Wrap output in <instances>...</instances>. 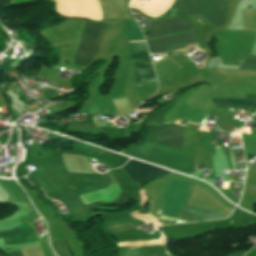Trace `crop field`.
<instances>
[{"mask_svg": "<svg viewBox=\"0 0 256 256\" xmlns=\"http://www.w3.org/2000/svg\"><path fill=\"white\" fill-rule=\"evenodd\" d=\"M182 129V126H166L161 128L157 135V143L179 149ZM198 134V130L184 127L180 149L196 146Z\"/></svg>", "mask_w": 256, "mask_h": 256, "instance_id": "obj_7", "label": "crop field"}, {"mask_svg": "<svg viewBox=\"0 0 256 256\" xmlns=\"http://www.w3.org/2000/svg\"><path fill=\"white\" fill-rule=\"evenodd\" d=\"M191 184L190 182L179 180H169L166 183L161 191L163 201L161 215L178 218L184 206V202L190 193ZM163 216L160 218L168 221L176 220Z\"/></svg>", "mask_w": 256, "mask_h": 256, "instance_id": "obj_4", "label": "crop field"}, {"mask_svg": "<svg viewBox=\"0 0 256 256\" xmlns=\"http://www.w3.org/2000/svg\"><path fill=\"white\" fill-rule=\"evenodd\" d=\"M183 215L202 220L223 219L228 216L187 206Z\"/></svg>", "mask_w": 256, "mask_h": 256, "instance_id": "obj_11", "label": "crop field"}, {"mask_svg": "<svg viewBox=\"0 0 256 256\" xmlns=\"http://www.w3.org/2000/svg\"><path fill=\"white\" fill-rule=\"evenodd\" d=\"M217 108H242V109H248V110H254L256 111V107L253 106H239V105H223V104H215Z\"/></svg>", "mask_w": 256, "mask_h": 256, "instance_id": "obj_15", "label": "crop field"}, {"mask_svg": "<svg viewBox=\"0 0 256 256\" xmlns=\"http://www.w3.org/2000/svg\"><path fill=\"white\" fill-rule=\"evenodd\" d=\"M256 117V115H254Z\"/></svg>", "mask_w": 256, "mask_h": 256, "instance_id": "obj_20", "label": "crop field"}, {"mask_svg": "<svg viewBox=\"0 0 256 256\" xmlns=\"http://www.w3.org/2000/svg\"><path fill=\"white\" fill-rule=\"evenodd\" d=\"M105 24L85 22L84 33L75 56L74 64L88 66L99 51Z\"/></svg>", "mask_w": 256, "mask_h": 256, "instance_id": "obj_5", "label": "crop field"}, {"mask_svg": "<svg viewBox=\"0 0 256 256\" xmlns=\"http://www.w3.org/2000/svg\"><path fill=\"white\" fill-rule=\"evenodd\" d=\"M129 40L144 39L136 21H126ZM144 41V40H137ZM129 41V42H137ZM131 52L148 51L145 42L130 43ZM135 69L152 68L148 52L131 53ZM137 84L156 83L153 70H135Z\"/></svg>", "mask_w": 256, "mask_h": 256, "instance_id": "obj_3", "label": "crop field"}, {"mask_svg": "<svg viewBox=\"0 0 256 256\" xmlns=\"http://www.w3.org/2000/svg\"><path fill=\"white\" fill-rule=\"evenodd\" d=\"M192 27L187 17L174 18L152 23L150 25L149 38L191 30ZM150 53L167 52L185 48V45L196 43L195 31L178 35L149 40Z\"/></svg>", "mask_w": 256, "mask_h": 256, "instance_id": "obj_1", "label": "crop field"}, {"mask_svg": "<svg viewBox=\"0 0 256 256\" xmlns=\"http://www.w3.org/2000/svg\"><path fill=\"white\" fill-rule=\"evenodd\" d=\"M133 228L132 224L128 225H121V226H113V227H107V229L110 232H116V231H122V230H127Z\"/></svg>", "mask_w": 256, "mask_h": 256, "instance_id": "obj_16", "label": "crop field"}, {"mask_svg": "<svg viewBox=\"0 0 256 256\" xmlns=\"http://www.w3.org/2000/svg\"><path fill=\"white\" fill-rule=\"evenodd\" d=\"M187 122H188V121H187ZM188 123H191V122H188ZM188 123H187V125H188V126H192V127H196V128H198V127H197V126H198V124L191 123V124L197 125V126H194V125H191V124H188Z\"/></svg>", "mask_w": 256, "mask_h": 256, "instance_id": "obj_19", "label": "crop field"}, {"mask_svg": "<svg viewBox=\"0 0 256 256\" xmlns=\"http://www.w3.org/2000/svg\"><path fill=\"white\" fill-rule=\"evenodd\" d=\"M246 99H249V100H255L256 101V96L254 95H247Z\"/></svg>", "mask_w": 256, "mask_h": 256, "instance_id": "obj_17", "label": "crop field"}, {"mask_svg": "<svg viewBox=\"0 0 256 256\" xmlns=\"http://www.w3.org/2000/svg\"><path fill=\"white\" fill-rule=\"evenodd\" d=\"M0 256H2V255L0 254Z\"/></svg>", "mask_w": 256, "mask_h": 256, "instance_id": "obj_21", "label": "crop field"}, {"mask_svg": "<svg viewBox=\"0 0 256 256\" xmlns=\"http://www.w3.org/2000/svg\"><path fill=\"white\" fill-rule=\"evenodd\" d=\"M21 222L23 224L16 228L0 232V238L4 237L5 245H17L38 240L36 232L32 230L29 224L23 219Z\"/></svg>", "mask_w": 256, "mask_h": 256, "instance_id": "obj_9", "label": "crop field"}, {"mask_svg": "<svg viewBox=\"0 0 256 256\" xmlns=\"http://www.w3.org/2000/svg\"><path fill=\"white\" fill-rule=\"evenodd\" d=\"M229 2L230 0H176L171 9L158 18L198 13L209 24L218 28L225 24Z\"/></svg>", "mask_w": 256, "mask_h": 256, "instance_id": "obj_2", "label": "crop field"}, {"mask_svg": "<svg viewBox=\"0 0 256 256\" xmlns=\"http://www.w3.org/2000/svg\"><path fill=\"white\" fill-rule=\"evenodd\" d=\"M55 11L65 17L101 20L102 12L97 0H54Z\"/></svg>", "mask_w": 256, "mask_h": 256, "instance_id": "obj_6", "label": "crop field"}, {"mask_svg": "<svg viewBox=\"0 0 256 256\" xmlns=\"http://www.w3.org/2000/svg\"><path fill=\"white\" fill-rule=\"evenodd\" d=\"M122 169L133 181L141 184L149 178L171 173L134 160H130Z\"/></svg>", "mask_w": 256, "mask_h": 256, "instance_id": "obj_8", "label": "crop field"}, {"mask_svg": "<svg viewBox=\"0 0 256 256\" xmlns=\"http://www.w3.org/2000/svg\"><path fill=\"white\" fill-rule=\"evenodd\" d=\"M244 252H240V253H236V254H232L230 256H243Z\"/></svg>", "mask_w": 256, "mask_h": 256, "instance_id": "obj_18", "label": "crop field"}, {"mask_svg": "<svg viewBox=\"0 0 256 256\" xmlns=\"http://www.w3.org/2000/svg\"><path fill=\"white\" fill-rule=\"evenodd\" d=\"M215 103H223V104H239V105H255V101H248V100H239V99H218L213 98Z\"/></svg>", "mask_w": 256, "mask_h": 256, "instance_id": "obj_12", "label": "crop field"}, {"mask_svg": "<svg viewBox=\"0 0 256 256\" xmlns=\"http://www.w3.org/2000/svg\"><path fill=\"white\" fill-rule=\"evenodd\" d=\"M51 245L58 256H70L65 242L51 243Z\"/></svg>", "mask_w": 256, "mask_h": 256, "instance_id": "obj_13", "label": "crop field"}, {"mask_svg": "<svg viewBox=\"0 0 256 256\" xmlns=\"http://www.w3.org/2000/svg\"><path fill=\"white\" fill-rule=\"evenodd\" d=\"M240 69H256V56L250 55L249 58L242 63Z\"/></svg>", "mask_w": 256, "mask_h": 256, "instance_id": "obj_14", "label": "crop field"}, {"mask_svg": "<svg viewBox=\"0 0 256 256\" xmlns=\"http://www.w3.org/2000/svg\"><path fill=\"white\" fill-rule=\"evenodd\" d=\"M173 2L174 0H132L129 7L139 9L150 16L158 17L167 11Z\"/></svg>", "mask_w": 256, "mask_h": 256, "instance_id": "obj_10", "label": "crop field"}]
</instances>
